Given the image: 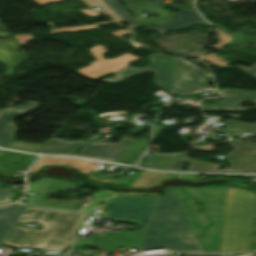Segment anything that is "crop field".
<instances>
[{"instance_id":"crop-field-1","label":"crop field","mask_w":256,"mask_h":256,"mask_svg":"<svg viewBox=\"0 0 256 256\" xmlns=\"http://www.w3.org/2000/svg\"><path fill=\"white\" fill-rule=\"evenodd\" d=\"M175 190L194 233L198 234L204 228L202 236L196 238L201 250L219 252L227 187H175ZM191 196L199 198L206 204L210 216L198 214Z\"/></svg>"},{"instance_id":"crop-field-2","label":"crop field","mask_w":256,"mask_h":256,"mask_svg":"<svg viewBox=\"0 0 256 256\" xmlns=\"http://www.w3.org/2000/svg\"><path fill=\"white\" fill-rule=\"evenodd\" d=\"M147 57L151 67L139 69L126 67L114 73V78L102 79V81L118 82L140 71H153L156 76L153 83L172 94L191 95L214 90L204 81L205 78L211 77L210 74L182 58L168 57L162 53Z\"/></svg>"},{"instance_id":"crop-field-3","label":"crop field","mask_w":256,"mask_h":256,"mask_svg":"<svg viewBox=\"0 0 256 256\" xmlns=\"http://www.w3.org/2000/svg\"><path fill=\"white\" fill-rule=\"evenodd\" d=\"M90 213L63 212L29 206L18 222L37 221L44 227L34 230L24 247L42 248L44 251H63L77 238Z\"/></svg>"},{"instance_id":"crop-field-4","label":"crop field","mask_w":256,"mask_h":256,"mask_svg":"<svg viewBox=\"0 0 256 256\" xmlns=\"http://www.w3.org/2000/svg\"><path fill=\"white\" fill-rule=\"evenodd\" d=\"M254 193L228 186L220 252L248 251Z\"/></svg>"},{"instance_id":"crop-field-5","label":"crop field","mask_w":256,"mask_h":256,"mask_svg":"<svg viewBox=\"0 0 256 256\" xmlns=\"http://www.w3.org/2000/svg\"><path fill=\"white\" fill-rule=\"evenodd\" d=\"M193 234L178 203L173 187L159 196L157 209L148 225L141 249L165 246V240Z\"/></svg>"},{"instance_id":"crop-field-6","label":"crop field","mask_w":256,"mask_h":256,"mask_svg":"<svg viewBox=\"0 0 256 256\" xmlns=\"http://www.w3.org/2000/svg\"><path fill=\"white\" fill-rule=\"evenodd\" d=\"M158 198L121 196L110 199L104 209L110 210L108 220L138 224L137 230L146 231L150 218L156 208ZM133 220V222H131ZM137 220V222H135ZM142 220H146L144 223Z\"/></svg>"},{"instance_id":"crop-field-7","label":"crop field","mask_w":256,"mask_h":256,"mask_svg":"<svg viewBox=\"0 0 256 256\" xmlns=\"http://www.w3.org/2000/svg\"><path fill=\"white\" fill-rule=\"evenodd\" d=\"M243 70L256 76V63L252 68H243ZM221 98V105H205L201 106L202 110H245L250 108H241L239 103L242 101H253L256 103V92H244V91H217ZM226 129L256 134V124H245L242 122L228 120L224 121Z\"/></svg>"},{"instance_id":"crop-field-8","label":"crop field","mask_w":256,"mask_h":256,"mask_svg":"<svg viewBox=\"0 0 256 256\" xmlns=\"http://www.w3.org/2000/svg\"><path fill=\"white\" fill-rule=\"evenodd\" d=\"M229 145L235 148L226 156L232 164L230 168L216 170L219 165L187 158H184L182 162L191 164L187 169L190 171H233L252 173L256 168V145L254 147L236 144Z\"/></svg>"},{"instance_id":"crop-field-9","label":"crop field","mask_w":256,"mask_h":256,"mask_svg":"<svg viewBox=\"0 0 256 256\" xmlns=\"http://www.w3.org/2000/svg\"><path fill=\"white\" fill-rule=\"evenodd\" d=\"M90 51L98 61L93 62L90 66L81 68L77 71L81 72L85 77L91 79H96L104 74L115 72L127 66L128 61L137 58L127 53L116 59L105 60L102 57V53L106 52V49L102 45H97L94 48L90 49Z\"/></svg>"},{"instance_id":"crop-field-10","label":"crop field","mask_w":256,"mask_h":256,"mask_svg":"<svg viewBox=\"0 0 256 256\" xmlns=\"http://www.w3.org/2000/svg\"><path fill=\"white\" fill-rule=\"evenodd\" d=\"M134 142L135 140L122 139L119 144H89L76 156L116 161Z\"/></svg>"},{"instance_id":"crop-field-11","label":"crop field","mask_w":256,"mask_h":256,"mask_svg":"<svg viewBox=\"0 0 256 256\" xmlns=\"http://www.w3.org/2000/svg\"><path fill=\"white\" fill-rule=\"evenodd\" d=\"M40 105L27 104L10 107L0 112V146L8 147L15 139L12 137L16 131L12 121L19 115L27 114Z\"/></svg>"},{"instance_id":"crop-field-12","label":"crop field","mask_w":256,"mask_h":256,"mask_svg":"<svg viewBox=\"0 0 256 256\" xmlns=\"http://www.w3.org/2000/svg\"><path fill=\"white\" fill-rule=\"evenodd\" d=\"M125 3L126 7L132 11L134 18L140 25L144 24H164L167 17L172 14L170 11L161 9L160 7L142 0H121ZM143 12L148 14L160 15L158 18H142L139 15Z\"/></svg>"},{"instance_id":"crop-field-13","label":"crop field","mask_w":256,"mask_h":256,"mask_svg":"<svg viewBox=\"0 0 256 256\" xmlns=\"http://www.w3.org/2000/svg\"><path fill=\"white\" fill-rule=\"evenodd\" d=\"M27 208V205L22 204L0 207V243ZM7 223L8 225H6ZM9 223L11 224L9 225Z\"/></svg>"},{"instance_id":"crop-field-14","label":"crop field","mask_w":256,"mask_h":256,"mask_svg":"<svg viewBox=\"0 0 256 256\" xmlns=\"http://www.w3.org/2000/svg\"><path fill=\"white\" fill-rule=\"evenodd\" d=\"M190 23L205 24L195 12L181 11L179 13L169 16L164 25H145V27L155 28L159 32H161L166 29L187 26Z\"/></svg>"},{"instance_id":"crop-field-15","label":"crop field","mask_w":256,"mask_h":256,"mask_svg":"<svg viewBox=\"0 0 256 256\" xmlns=\"http://www.w3.org/2000/svg\"><path fill=\"white\" fill-rule=\"evenodd\" d=\"M32 156L16 152L4 151L0 155V172L11 177L19 170Z\"/></svg>"},{"instance_id":"crop-field-16","label":"crop field","mask_w":256,"mask_h":256,"mask_svg":"<svg viewBox=\"0 0 256 256\" xmlns=\"http://www.w3.org/2000/svg\"><path fill=\"white\" fill-rule=\"evenodd\" d=\"M89 163L90 161H84V160H78V159L44 157L40 159V161L32 168V170L28 174L35 172L39 167L43 165H51V164L70 165L78 169L80 172H90L91 170H93L95 165L89 164Z\"/></svg>"},{"instance_id":"crop-field-17","label":"crop field","mask_w":256,"mask_h":256,"mask_svg":"<svg viewBox=\"0 0 256 256\" xmlns=\"http://www.w3.org/2000/svg\"><path fill=\"white\" fill-rule=\"evenodd\" d=\"M82 141L51 139L38 152L70 155Z\"/></svg>"},{"instance_id":"crop-field-18","label":"crop field","mask_w":256,"mask_h":256,"mask_svg":"<svg viewBox=\"0 0 256 256\" xmlns=\"http://www.w3.org/2000/svg\"><path fill=\"white\" fill-rule=\"evenodd\" d=\"M185 154L163 156L154 154L148 162L149 165L146 168L171 170L184 156Z\"/></svg>"},{"instance_id":"crop-field-19","label":"crop field","mask_w":256,"mask_h":256,"mask_svg":"<svg viewBox=\"0 0 256 256\" xmlns=\"http://www.w3.org/2000/svg\"><path fill=\"white\" fill-rule=\"evenodd\" d=\"M167 173L142 172L131 187H154L159 184L161 179H167Z\"/></svg>"},{"instance_id":"crop-field-20","label":"crop field","mask_w":256,"mask_h":256,"mask_svg":"<svg viewBox=\"0 0 256 256\" xmlns=\"http://www.w3.org/2000/svg\"><path fill=\"white\" fill-rule=\"evenodd\" d=\"M29 232H30V229H27V228H22V227L12 228V230L9 232V234L3 241V244L19 247V245L24 240V238L28 235Z\"/></svg>"},{"instance_id":"crop-field-21","label":"crop field","mask_w":256,"mask_h":256,"mask_svg":"<svg viewBox=\"0 0 256 256\" xmlns=\"http://www.w3.org/2000/svg\"><path fill=\"white\" fill-rule=\"evenodd\" d=\"M168 245L173 249V252L200 251L196 240L185 241L184 237L181 240L170 241Z\"/></svg>"},{"instance_id":"crop-field-22","label":"crop field","mask_w":256,"mask_h":256,"mask_svg":"<svg viewBox=\"0 0 256 256\" xmlns=\"http://www.w3.org/2000/svg\"><path fill=\"white\" fill-rule=\"evenodd\" d=\"M105 2L122 18L123 21L127 22L133 28L139 26V24L135 22L129 16V14L118 4L117 0H105Z\"/></svg>"},{"instance_id":"crop-field-23","label":"crop field","mask_w":256,"mask_h":256,"mask_svg":"<svg viewBox=\"0 0 256 256\" xmlns=\"http://www.w3.org/2000/svg\"><path fill=\"white\" fill-rule=\"evenodd\" d=\"M247 28L248 27H243L241 31H238V32H235V33H232V32H229V31L225 30L226 32L236 36V39L230 45H232V44H249V43H252V42H256V35L248 36V35L243 33Z\"/></svg>"},{"instance_id":"crop-field-24","label":"crop field","mask_w":256,"mask_h":256,"mask_svg":"<svg viewBox=\"0 0 256 256\" xmlns=\"http://www.w3.org/2000/svg\"><path fill=\"white\" fill-rule=\"evenodd\" d=\"M45 143L46 142H44L42 145H36L27 142L14 141L8 148L37 152Z\"/></svg>"},{"instance_id":"crop-field-25","label":"crop field","mask_w":256,"mask_h":256,"mask_svg":"<svg viewBox=\"0 0 256 256\" xmlns=\"http://www.w3.org/2000/svg\"><path fill=\"white\" fill-rule=\"evenodd\" d=\"M215 31L217 33L218 43L210 46L211 49L220 50L223 46H225L229 41L233 39L232 36L217 28H215Z\"/></svg>"},{"instance_id":"crop-field-26","label":"crop field","mask_w":256,"mask_h":256,"mask_svg":"<svg viewBox=\"0 0 256 256\" xmlns=\"http://www.w3.org/2000/svg\"><path fill=\"white\" fill-rule=\"evenodd\" d=\"M87 5L93 7V6H99L102 9L100 10L101 12L115 18L118 22H122L117 15L111 10L109 9L103 2L102 0H83Z\"/></svg>"},{"instance_id":"crop-field-27","label":"crop field","mask_w":256,"mask_h":256,"mask_svg":"<svg viewBox=\"0 0 256 256\" xmlns=\"http://www.w3.org/2000/svg\"><path fill=\"white\" fill-rule=\"evenodd\" d=\"M106 23H116V22L111 21V22H105V23H99V24H106ZM99 24L55 29V30H51V33H58L62 31H81V30L98 29L99 27L97 25Z\"/></svg>"},{"instance_id":"crop-field-28","label":"crop field","mask_w":256,"mask_h":256,"mask_svg":"<svg viewBox=\"0 0 256 256\" xmlns=\"http://www.w3.org/2000/svg\"><path fill=\"white\" fill-rule=\"evenodd\" d=\"M201 59H204V60H207L209 62H212L213 64H215V65H217L219 67H223V66L229 64V63L225 62L223 59H221L220 57L214 55L213 53H210L209 55H207L205 57H202Z\"/></svg>"},{"instance_id":"crop-field-29","label":"crop field","mask_w":256,"mask_h":256,"mask_svg":"<svg viewBox=\"0 0 256 256\" xmlns=\"http://www.w3.org/2000/svg\"><path fill=\"white\" fill-rule=\"evenodd\" d=\"M47 181L48 179H42L36 183L28 184L29 192L39 193Z\"/></svg>"},{"instance_id":"crop-field-30","label":"crop field","mask_w":256,"mask_h":256,"mask_svg":"<svg viewBox=\"0 0 256 256\" xmlns=\"http://www.w3.org/2000/svg\"><path fill=\"white\" fill-rule=\"evenodd\" d=\"M160 1H161V0H158V1L156 2V4H158V5H160V6H164V4L160 3ZM174 1H175V0L170 1L169 5H167V6L173 7V8H175V9H185V10H192V11H193V9L190 7L191 0H186V6L173 4Z\"/></svg>"},{"instance_id":"crop-field-31","label":"crop field","mask_w":256,"mask_h":256,"mask_svg":"<svg viewBox=\"0 0 256 256\" xmlns=\"http://www.w3.org/2000/svg\"><path fill=\"white\" fill-rule=\"evenodd\" d=\"M11 196L12 193L9 189H0V204H6L11 202Z\"/></svg>"},{"instance_id":"crop-field-32","label":"crop field","mask_w":256,"mask_h":256,"mask_svg":"<svg viewBox=\"0 0 256 256\" xmlns=\"http://www.w3.org/2000/svg\"><path fill=\"white\" fill-rule=\"evenodd\" d=\"M114 196V193L109 191H103L94 197V200L103 202Z\"/></svg>"},{"instance_id":"crop-field-33","label":"crop field","mask_w":256,"mask_h":256,"mask_svg":"<svg viewBox=\"0 0 256 256\" xmlns=\"http://www.w3.org/2000/svg\"><path fill=\"white\" fill-rule=\"evenodd\" d=\"M23 35V34H22ZM20 45L25 44L28 40H32V35L15 36Z\"/></svg>"},{"instance_id":"crop-field-34","label":"crop field","mask_w":256,"mask_h":256,"mask_svg":"<svg viewBox=\"0 0 256 256\" xmlns=\"http://www.w3.org/2000/svg\"><path fill=\"white\" fill-rule=\"evenodd\" d=\"M222 255L223 254H205V253H187L186 254V256H222Z\"/></svg>"},{"instance_id":"crop-field-35","label":"crop field","mask_w":256,"mask_h":256,"mask_svg":"<svg viewBox=\"0 0 256 256\" xmlns=\"http://www.w3.org/2000/svg\"><path fill=\"white\" fill-rule=\"evenodd\" d=\"M131 31L130 30H118L114 33H111L112 36H115V37H119L121 35H124V34H127V33H130Z\"/></svg>"},{"instance_id":"crop-field-36","label":"crop field","mask_w":256,"mask_h":256,"mask_svg":"<svg viewBox=\"0 0 256 256\" xmlns=\"http://www.w3.org/2000/svg\"><path fill=\"white\" fill-rule=\"evenodd\" d=\"M80 11H81L82 13L87 14V15L92 16V17L98 16V13H96V12L93 11V10H80Z\"/></svg>"},{"instance_id":"crop-field-37","label":"crop field","mask_w":256,"mask_h":256,"mask_svg":"<svg viewBox=\"0 0 256 256\" xmlns=\"http://www.w3.org/2000/svg\"><path fill=\"white\" fill-rule=\"evenodd\" d=\"M35 2H37L38 4L42 5L45 3H49V2H57V1H61V0H34Z\"/></svg>"},{"instance_id":"crop-field-38","label":"crop field","mask_w":256,"mask_h":256,"mask_svg":"<svg viewBox=\"0 0 256 256\" xmlns=\"http://www.w3.org/2000/svg\"><path fill=\"white\" fill-rule=\"evenodd\" d=\"M184 237H186L187 238V240H189V239H195V236L194 235H185ZM181 237H179V238H174V239H171V240H175V239H180ZM169 241V240H168ZM167 242V241H166ZM165 245L167 246V247H169L166 243H165ZM170 248V247H169Z\"/></svg>"},{"instance_id":"crop-field-39","label":"crop field","mask_w":256,"mask_h":256,"mask_svg":"<svg viewBox=\"0 0 256 256\" xmlns=\"http://www.w3.org/2000/svg\"><path fill=\"white\" fill-rule=\"evenodd\" d=\"M224 256H227V255H224ZM241 256H256V252L242 253Z\"/></svg>"},{"instance_id":"crop-field-40","label":"crop field","mask_w":256,"mask_h":256,"mask_svg":"<svg viewBox=\"0 0 256 256\" xmlns=\"http://www.w3.org/2000/svg\"><path fill=\"white\" fill-rule=\"evenodd\" d=\"M230 143H236V144H244V145H251L254 146L255 144L252 143H240V142H234V141H229Z\"/></svg>"},{"instance_id":"crop-field-41","label":"crop field","mask_w":256,"mask_h":256,"mask_svg":"<svg viewBox=\"0 0 256 256\" xmlns=\"http://www.w3.org/2000/svg\"><path fill=\"white\" fill-rule=\"evenodd\" d=\"M212 149H213V147L210 146V147L203 148V149H201V150H212Z\"/></svg>"},{"instance_id":"crop-field-42","label":"crop field","mask_w":256,"mask_h":256,"mask_svg":"<svg viewBox=\"0 0 256 256\" xmlns=\"http://www.w3.org/2000/svg\"><path fill=\"white\" fill-rule=\"evenodd\" d=\"M98 253H99L98 251H94L90 255H99Z\"/></svg>"},{"instance_id":"crop-field-43","label":"crop field","mask_w":256,"mask_h":256,"mask_svg":"<svg viewBox=\"0 0 256 256\" xmlns=\"http://www.w3.org/2000/svg\"><path fill=\"white\" fill-rule=\"evenodd\" d=\"M145 1H148V2H151V3H154L157 1V0H145Z\"/></svg>"},{"instance_id":"crop-field-44","label":"crop field","mask_w":256,"mask_h":256,"mask_svg":"<svg viewBox=\"0 0 256 256\" xmlns=\"http://www.w3.org/2000/svg\"><path fill=\"white\" fill-rule=\"evenodd\" d=\"M3 151L2 150H0V154L2 153Z\"/></svg>"},{"instance_id":"crop-field-45","label":"crop field","mask_w":256,"mask_h":256,"mask_svg":"<svg viewBox=\"0 0 256 256\" xmlns=\"http://www.w3.org/2000/svg\"><path fill=\"white\" fill-rule=\"evenodd\" d=\"M253 173H256V169H255V171Z\"/></svg>"},{"instance_id":"crop-field-46","label":"crop field","mask_w":256,"mask_h":256,"mask_svg":"<svg viewBox=\"0 0 256 256\" xmlns=\"http://www.w3.org/2000/svg\"><path fill=\"white\" fill-rule=\"evenodd\" d=\"M166 256H170V255H166Z\"/></svg>"},{"instance_id":"crop-field-47","label":"crop field","mask_w":256,"mask_h":256,"mask_svg":"<svg viewBox=\"0 0 256 256\" xmlns=\"http://www.w3.org/2000/svg\"><path fill=\"white\" fill-rule=\"evenodd\" d=\"M1 111V110H0Z\"/></svg>"}]
</instances>
